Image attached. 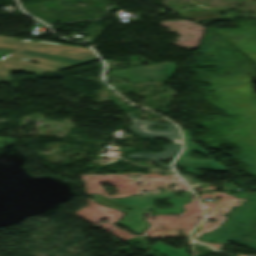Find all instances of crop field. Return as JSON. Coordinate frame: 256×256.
I'll use <instances>...</instances> for the list:
<instances>
[{"label": "crop field", "instance_id": "crop-field-1", "mask_svg": "<svg viewBox=\"0 0 256 256\" xmlns=\"http://www.w3.org/2000/svg\"><path fill=\"white\" fill-rule=\"evenodd\" d=\"M164 197H171L167 200L173 204L172 209H158L152 206L154 200ZM90 198L103 205L128 213L118 224L129 227L137 234H141L148 226L140 217L148 208L156 209L154 215H162L168 213H180L184 211L181 206L189 201L187 198H174L171 193H163L161 195L147 194L146 196H135L125 199L110 200L99 195H91ZM127 208H132L127 212Z\"/></svg>", "mask_w": 256, "mask_h": 256}, {"label": "crop field", "instance_id": "crop-field-2", "mask_svg": "<svg viewBox=\"0 0 256 256\" xmlns=\"http://www.w3.org/2000/svg\"><path fill=\"white\" fill-rule=\"evenodd\" d=\"M126 115L132 121V125L129 127V129L135 134L147 138L167 139L173 143V145L171 146H163L164 151L161 153H135L129 154L126 157L130 159L151 160L157 163L163 169L170 168V166L168 165L163 166L157 160L173 159L179 153L181 149L180 135L175 125L161 124L152 121L141 120L132 112L127 113ZM151 125H160L167 128L164 130L152 129L150 127Z\"/></svg>", "mask_w": 256, "mask_h": 256}, {"label": "crop field", "instance_id": "crop-field-3", "mask_svg": "<svg viewBox=\"0 0 256 256\" xmlns=\"http://www.w3.org/2000/svg\"><path fill=\"white\" fill-rule=\"evenodd\" d=\"M23 49L53 54L57 56L82 60V61H95L98 58L94 56L90 49H82L77 47H70L50 42H36Z\"/></svg>", "mask_w": 256, "mask_h": 256}, {"label": "crop field", "instance_id": "crop-field-4", "mask_svg": "<svg viewBox=\"0 0 256 256\" xmlns=\"http://www.w3.org/2000/svg\"><path fill=\"white\" fill-rule=\"evenodd\" d=\"M183 133H184L185 150L183 154L179 156L175 162L178 166L185 167L187 172L192 174H195V171H194L195 167L204 168V169L228 170L222 164H220L216 159H214L209 153H207L204 149H202L200 146L192 144L190 133L185 131H183ZM191 150L200 151L204 153L206 156L210 158L209 161L191 159L188 156Z\"/></svg>", "mask_w": 256, "mask_h": 256}, {"label": "crop field", "instance_id": "crop-field-5", "mask_svg": "<svg viewBox=\"0 0 256 256\" xmlns=\"http://www.w3.org/2000/svg\"><path fill=\"white\" fill-rule=\"evenodd\" d=\"M152 249L164 256H191L189 254L184 253L186 251L187 248H182L179 250L170 248L168 246L162 245V244H155L153 246H151Z\"/></svg>", "mask_w": 256, "mask_h": 256}, {"label": "crop field", "instance_id": "crop-field-6", "mask_svg": "<svg viewBox=\"0 0 256 256\" xmlns=\"http://www.w3.org/2000/svg\"><path fill=\"white\" fill-rule=\"evenodd\" d=\"M14 54H17V53H14ZM19 55H22V54H19ZM25 56H27V55H25Z\"/></svg>", "mask_w": 256, "mask_h": 256}]
</instances>
